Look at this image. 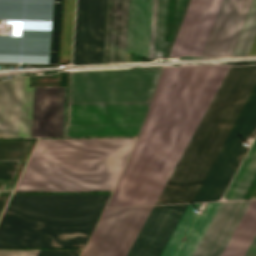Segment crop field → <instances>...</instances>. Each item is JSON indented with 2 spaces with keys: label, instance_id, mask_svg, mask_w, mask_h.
Masks as SVG:
<instances>
[{
  "label": "crop field",
  "instance_id": "1",
  "mask_svg": "<svg viewBox=\"0 0 256 256\" xmlns=\"http://www.w3.org/2000/svg\"><path fill=\"white\" fill-rule=\"evenodd\" d=\"M229 66L164 68L107 207L155 204Z\"/></svg>",
  "mask_w": 256,
  "mask_h": 256
},
{
  "label": "crop field",
  "instance_id": "2",
  "mask_svg": "<svg viewBox=\"0 0 256 256\" xmlns=\"http://www.w3.org/2000/svg\"><path fill=\"white\" fill-rule=\"evenodd\" d=\"M135 139L136 137L40 139L16 189H113Z\"/></svg>",
  "mask_w": 256,
  "mask_h": 256
},
{
  "label": "crop field",
  "instance_id": "3",
  "mask_svg": "<svg viewBox=\"0 0 256 256\" xmlns=\"http://www.w3.org/2000/svg\"><path fill=\"white\" fill-rule=\"evenodd\" d=\"M160 70L70 73L69 104L150 103ZM148 106L69 105L66 136L137 135Z\"/></svg>",
  "mask_w": 256,
  "mask_h": 256
},
{
  "label": "crop field",
  "instance_id": "4",
  "mask_svg": "<svg viewBox=\"0 0 256 256\" xmlns=\"http://www.w3.org/2000/svg\"><path fill=\"white\" fill-rule=\"evenodd\" d=\"M109 196L13 194L0 220V248H83Z\"/></svg>",
  "mask_w": 256,
  "mask_h": 256
},
{
  "label": "crop field",
  "instance_id": "5",
  "mask_svg": "<svg viewBox=\"0 0 256 256\" xmlns=\"http://www.w3.org/2000/svg\"><path fill=\"white\" fill-rule=\"evenodd\" d=\"M256 86V65L230 66L156 204L192 202Z\"/></svg>",
  "mask_w": 256,
  "mask_h": 256
},
{
  "label": "crop field",
  "instance_id": "6",
  "mask_svg": "<svg viewBox=\"0 0 256 256\" xmlns=\"http://www.w3.org/2000/svg\"><path fill=\"white\" fill-rule=\"evenodd\" d=\"M250 201L208 203L201 218L199 204L154 206L127 256H220Z\"/></svg>",
  "mask_w": 256,
  "mask_h": 256
},
{
  "label": "crop field",
  "instance_id": "7",
  "mask_svg": "<svg viewBox=\"0 0 256 256\" xmlns=\"http://www.w3.org/2000/svg\"><path fill=\"white\" fill-rule=\"evenodd\" d=\"M256 134V88L232 129L228 139L196 194L193 202L219 200L247 149L243 147L248 135ZM246 157V156H245ZM256 186V140L224 198L249 199Z\"/></svg>",
  "mask_w": 256,
  "mask_h": 256
},
{
  "label": "crop field",
  "instance_id": "8",
  "mask_svg": "<svg viewBox=\"0 0 256 256\" xmlns=\"http://www.w3.org/2000/svg\"><path fill=\"white\" fill-rule=\"evenodd\" d=\"M222 0H209L187 55H200ZM252 0H223L203 52L230 56Z\"/></svg>",
  "mask_w": 256,
  "mask_h": 256
},
{
  "label": "crop field",
  "instance_id": "9",
  "mask_svg": "<svg viewBox=\"0 0 256 256\" xmlns=\"http://www.w3.org/2000/svg\"><path fill=\"white\" fill-rule=\"evenodd\" d=\"M152 208L105 209L82 256H126Z\"/></svg>",
  "mask_w": 256,
  "mask_h": 256
},
{
  "label": "crop field",
  "instance_id": "10",
  "mask_svg": "<svg viewBox=\"0 0 256 256\" xmlns=\"http://www.w3.org/2000/svg\"><path fill=\"white\" fill-rule=\"evenodd\" d=\"M107 0H78L75 66L102 64Z\"/></svg>",
  "mask_w": 256,
  "mask_h": 256
},
{
  "label": "crop field",
  "instance_id": "11",
  "mask_svg": "<svg viewBox=\"0 0 256 256\" xmlns=\"http://www.w3.org/2000/svg\"><path fill=\"white\" fill-rule=\"evenodd\" d=\"M27 80L0 82V137H30L34 88Z\"/></svg>",
  "mask_w": 256,
  "mask_h": 256
},
{
  "label": "crop field",
  "instance_id": "12",
  "mask_svg": "<svg viewBox=\"0 0 256 256\" xmlns=\"http://www.w3.org/2000/svg\"><path fill=\"white\" fill-rule=\"evenodd\" d=\"M188 0H154L149 57L166 58Z\"/></svg>",
  "mask_w": 256,
  "mask_h": 256
},
{
  "label": "crop field",
  "instance_id": "13",
  "mask_svg": "<svg viewBox=\"0 0 256 256\" xmlns=\"http://www.w3.org/2000/svg\"><path fill=\"white\" fill-rule=\"evenodd\" d=\"M65 88H36L31 137L61 136Z\"/></svg>",
  "mask_w": 256,
  "mask_h": 256
},
{
  "label": "crop field",
  "instance_id": "14",
  "mask_svg": "<svg viewBox=\"0 0 256 256\" xmlns=\"http://www.w3.org/2000/svg\"><path fill=\"white\" fill-rule=\"evenodd\" d=\"M129 0H109L104 65L125 64Z\"/></svg>",
  "mask_w": 256,
  "mask_h": 256
},
{
  "label": "crop field",
  "instance_id": "15",
  "mask_svg": "<svg viewBox=\"0 0 256 256\" xmlns=\"http://www.w3.org/2000/svg\"><path fill=\"white\" fill-rule=\"evenodd\" d=\"M208 0H190L182 25L168 57L186 55Z\"/></svg>",
  "mask_w": 256,
  "mask_h": 256
},
{
  "label": "crop field",
  "instance_id": "16",
  "mask_svg": "<svg viewBox=\"0 0 256 256\" xmlns=\"http://www.w3.org/2000/svg\"><path fill=\"white\" fill-rule=\"evenodd\" d=\"M256 234V201H251L222 256H244Z\"/></svg>",
  "mask_w": 256,
  "mask_h": 256
},
{
  "label": "crop field",
  "instance_id": "17",
  "mask_svg": "<svg viewBox=\"0 0 256 256\" xmlns=\"http://www.w3.org/2000/svg\"><path fill=\"white\" fill-rule=\"evenodd\" d=\"M255 32L256 0H253L231 56L246 55Z\"/></svg>",
  "mask_w": 256,
  "mask_h": 256
},
{
  "label": "crop field",
  "instance_id": "18",
  "mask_svg": "<svg viewBox=\"0 0 256 256\" xmlns=\"http://www.w3.org/2000/svg\"><path fill=\"white\" fill-rule=\"evenodd\" d=\"M75 0H66L61 61L71 60Z\"/></svg>",
  "mask_w": 256,
  "mask_h": 256
},
{
  "label": "crop field",
  "instance_id": "19",
  "mask_svg": "<svg viewBox=\"0 0 256 256\" xmlns=\"http://www.w3.org/2000/svg\"><path fill=\"white\" fill-rule=\"evenodd\" d=\"M41 250H0V256H38ZM82 250H42L39 256H79Z\"/></svg>",
  "mask_w": 256,
  "mask_h": 256
},
{
  "label": "crop field",
  "instance_id": "20",
  "mask_svg": "<svg viewBox=\"0 0 256 256\" xmlns=\"http://www.w3.org/2000/svg\"><path fill=\"white\" fill-rule=\"evenodd\" d=\"M245 256H256V237L253 240L250 248L248 249L247 253Z\"/></svg>",
  "mask_w": 256,
  "mask_h": 256
},
{
  "label": "crop field",
  "instance_id": "21",
  "mask_svg": "<svg viewBox=\"0 0 256 256\" xmlns=\"http://www.w3.org/2000/svg\"><path fill=\"white\" fill-rule=\"evenodd\" d=\"M256 54V34L247 55Z\"/></svg>",
  "mask_w": 256,
  "mask_h": 256
},
{
  "label": "crop field",
  "instance_id": "22",
  "mask_svg": "<svg viewBox=\"0 0 256 256\" xmlns=\"http://www.w3.org/2000/svg\"><path fill=\"white\" fill-rule=\"evenodd\" d=\"M250 199H256V188H255V190L253 191V193H252Z\"/></svg>",
  "mask_w": 256,
  "mask_h": 256
}]
</instances>
